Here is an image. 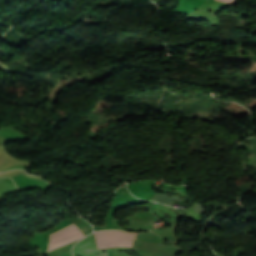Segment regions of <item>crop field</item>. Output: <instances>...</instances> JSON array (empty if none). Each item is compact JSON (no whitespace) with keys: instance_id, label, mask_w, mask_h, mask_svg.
<instances>
[{"instance_id":"crop-field-1","label":"crop field","mask_w":256,"mask_h":256,"mask_svg":"<svg viewBox=\"0 0 256 256\" xmlns=\"http://www.w3.org/2000/svg\"><path fill=\"white\" fill-rule=\"evenodd\" d=\"M97 247H126L131 248L134 233L121 231H98L95 232Z\"/></svg>"},{"instance_id":"crop-field-2","label":"crop field","mask_w":256,"mask_h":256,"mask_svg":"<svg viewBox=\"0 0 256 256\" xmlns=\"http://www.w3.org/2000/svg\"><path fill=\"white\" fill-rule=\"evenodd\" d=\"M75 229H77V226H76L75 224H71V225H69V226H67V227H65V228H63V229H61V230H59V231H57V232H55V233L50 234V239L53 238V237L59 236V235H61V234L67 233V232H69V231L75 230ZM77 233H80V230H79V229H77V230H75V231H72V232H69V233H67V234L61 235V236H59V237H56V238L51 239V240H50V244L53 243V242L59 241V240H61V239L67 238V237H69V236L75 235V234H77ZM83 237H85V236H84L82 233H80V234H78V235H75V236H72V237H70V238H67V239H64V240H62V241L56 242V243H54V244H51V245L49 246L47 252H48V251H52V250H54V249H56V248H59V247H61V246H63V245L69 244V243H71V242L77 241V240H79V239H82Z\"/></svg>"},{"instance_id":"crop-field-3","label":"crop field","mask_w":256,"mask_h":256,"mask_svg":"<svg viewBox=\"0 0 256 256\" xmlns=\"http://www.w3.org/2000/svg\"><path fill=\"white\" fill-rule=\"evenodd\" d=\"M229 2L236 3V0H229Z\"/></svg>"}]
</instances>
